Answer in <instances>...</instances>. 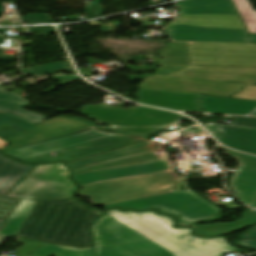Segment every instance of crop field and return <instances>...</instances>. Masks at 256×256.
<instances>
[{"instance_id":"obj_20","label":"crop field","mask_w":256,"mask_h":256,"mask_svg":"<svg viewBox=\"0 0 256 256\" xmlns=\"http://www.w3.org/2000/svg\"><path fill=\"white\" fill-rule=\"evenodd\" d=\"M256 224V211L247 209L242 215L241 220L231 224L220 223L208 226H197L196 234L214 236L216 234L228 235Z\"/></svg>"},{"instance_id":"obj_5","label":"crop field","mask_w":256,"mask_h":256,"mask_svg":"<svg viewBox=\"0 0 256 256\" xmlns=\"http://www.w3.org/2000/svg\"><path fill=\"white\" fill-rule=\"evenodd\" d=\"M67 165V164H66ZM72 179L79 185L170 169L156 146L143 142L134 146L68 163Z\"/></svg>"},{"instance_id":"obj_13","label":"crop field","mask_w":256,"mask_h":256,"mask_svg":"<svg viewBox=\"0 0 256 256\" xmlns=\"http://www.w3.org/2000/svg\"><path fill=\"white\" fill-rule=\"evenodd\" d=\"M0 87V137L6 138L38 124L47 117L24 110L30 102Z\"/></svg>"},{"instance_id":"obj_24","label":"crop field","mask_w":256,"mask_h":256,"mask_svg":"<svg viewBox=\"0 0 256 256\" xmlns=\"http://www.w3.org/2000/svg\"><path fill=\"white\" fill-rule=\"evenodd\" d=\"M249 33H256V11L252 9L248 0H233Z\"/></svg>"},{"instance_id":"obj_33","label":"crop field","mask_w":256,"mask_h":256,"mask_svg":"<svg viewBox=\"0 0 256 256\" xmlns=\"http://www.w3.org/2000/svg\"><path fill=\"white\" fill-rule=\"evenodd\" d=\"M256 238V226L249 229L247 232L243 233L240 236L241 240H245V239H254Z\"/></svg>"},{"instance_id":"obj_30","label":"crop field","mask_w":256,"mask_h":256,"mask_svg":"<svg viewBox=\"0 0 256 256\" xmlns=\"http://www.w3.org/2000/svg\"><path fill=\"white\" fill-rule=\"evenodd\" d=\"M102 1L103 0H94V4L92 5L91 9H87V13L91 14L90 19L104 15L105 10L100 5Z\"/></svg>"},{"instance_id":"obj_32","label":"crop field","mask_w":256,"mask_h":256,"mask_svg":"<svg viewBox=\"0 0 256 256\" xmlns=\"http://www.w3.org/2000/svg\"><path fill=\"white\" fill-rule=\"evenodd\" d=\"M36 33H38V36H50V33H55L53 27H41V28H31Z\"/></svg>"},{"instance_id":"obj_34","label":"crop field","mask_w":256,"mask_h":256,"mask_svg":"<svg viewBox=\"0 0 256 256\" xmlns=\"http://www.w3.org/2000/svg\"><path fill=\"white\" fill-rule=\"evenodd\" d=\"M239 245L256 249V240L239 241Z\"/></svg>"},{"instance_id":"obj_6","label":"crop field","mask_w":256,"mask_h":256,"mask_svg":"<svg viewBox=\"0 0 256 256\" xmlns=\"http://www.w3.org/2000/svg\"><path fill=\"white\" fill-rule=\"evenodd\" d=\"M161 64L256 66V44L171 41Z\"/></svg>"},{"instance_id":"obj_35","label":"crop field","mask_w":256,"mask_h":256,"mask_svg":"<svg viewBox=\"0 0 256 256\" xmlns=\"http://www.w3.org/2000/svg\"><path fill=\"white\" fill-rule=\"evenodd\" d=\"M0 40H5V38L0 37ZM13 59H18V58L0 56V60H13Z\"/></svg>"},{"instance_id":"obj_22","label":"crop field","mask_w":256,"mask_h":256,"mask_svg":"<svg viewBox=\"0 0 256 256\" xmlns=\"http://www.w3.org/2000/svg\"><path fill=\"white\" fill-rule=\"evenodd\" d=\"M36 201L22 200L14 215L1 233L4 236H15L22 223L31 212ZM26 221V220H25ZM24 224V223H23ZM17 235V234H16Z\"/></svg>"},{"instance_id":"obj_17","label":"crop field","mask_w":256,"mask_h":256,"mask_svg":"<svg viewBox=\"0 0 256 256\" xmlns=\"http://www.w3.org/2000/svg\"><path fill=\"white\" fill-rule=\"evenodd\" d=\"M199 95L139 89L137 102L174 110L201 112L196 100Z\"/></svg>"},{"instance_id":"obj_16","label":"crop field","mask_w":256,"mask_h":256,"mask_svg":"<svg viewBox=\"0 0 256 256\" xmlns=\"http://www.w3.org/2000/svg\"><path fill=\"white\" fill-rule=\"evenodd\" d=\"M223 129L220 142L256 154V118L234 117L230 126L223 125Z\"/></svg>"},{"instance_id":"obj_19","label":"crop field","mask_w":256,"mask_h":256,"mask_svg":"<svg viewBox=\"0 0 256 256\" xmlns=\"http://www.w3.org/2000/svg\"><path fill=\"white\" fill-rule=\"evenodd\" d=\"M32 167L21 165L0 154V196H5Z\"/></svg>"},{"instance_id":"obj_1","label":"crop field","mask_w":256,"mask_h":256,"mask_svg":"<svg viewBox=\"0 0 256 256\" xmlns=\"http://www.w3.org/2000/svg\"><path fill=\"white\" fill-rule=\"evenodd\" d=\"M103 213L76 199L37 201L15 237L50 244L88 248L93 246L89 227Z\"/></svg>"},{"instance_id":"obj_25","label":"crop field","mask_w":256,"mask_h":256,"mask_svg":"<svg viewBox=\"0 0 256 256\" xmlns=\"http://www.w3.org/2000/svg\"><path fill=\"white\" fill-rule=\"evenodd\" d=\"M62 70L75 73L74 69L72 68V64L70 63L69 60L53 63L49 65H44V66L22 69V71L27 74H40V75H45V74L62 71Z\"/></svg>"},{"instance_id":"obj_36","label":"crop field","mask_w":256,"mask_h":256,"mask_svg":"<svg viewBox=\"0 0 256 256\" xmlns=\"http://www.w3.org/2000/svg\"><path fill=\"white\" fill-rule=\"evenodd\" d=\"M252 43H256V34H250Z\"/></svg>"},{"instance_id":"obj_37","label":"crop field","mask_w":256,"mask_h":256,"mask_svg":"<svg viewBox=\"0 0 256 256\" xmlns=\"http://www.w3.org/2000/svg\"><path fill=\"white\" fill-rule=\"evenodd\" d=\"M7 142L0 139V149L6 146Z\"/></svg>"},{"instance_id":"obj_39","label":"crop field","mask_w":256,"mask_h":256,"mask_svg":"<svg viewBox=\"0 0 256 256\" xmlns=\"http://www.w3.org/2000/svg\"><path fill=\"white\" fill-rule=\"evenodd\" d=\"M6 238L5 237H0V248L3 245V243L5 242Z\"/></svg>"},{"instance_id":"obj_18","label":"crop field","mask_w":256,"mask_h":256,"mask_svg":"<svg viewBox=\"0 0 256 256\" xmlns=\"http://www.w3.org/2000/svg\"><path fill=\"white\" fill-rule=\"evenodd\" d=\"M205 112L248 115L256 109V101L206 96L200 100Z\"/></svg>"},{"instance_id":"obj_29","label":"crop field","mask_w":256,"mask_h":256,"mask_svg":"<svg viewBox=\"0 0 256 256\" xmlns=\"http://www.w3.org/2000/svg\"><path fill=\"white\" fill-rule=\"evenodd\" d=\"M233 98L256 100V86H248Z\"/></svg>"},{"instance_id":"obj_14","label":"crop field","mask_w":256,"mask_h":256,"mask_svg":"<svg viewBox=\"0 0 256 256\" xmlns=\"http://www.w3.org/2000/svg\"><path fill=\"white\" fill-rule=\"evenodd\" d=\"M95 127V123L80 118H66L63 116L42 122L28 130H25L11 138L6 139L13 145L2 150H9L80 130Z\"/></svg>"},{"instance_id":"obj_27","label":"crop field","mask_w":256,"mask_h":256,"mask_svg":"<svg viewBox=\"0 0 256 256\" xmlns=\"http://www.w3.org/2000/svg\"><path fill=\"white\" fill-rule=\"evenodd\" d=\"M17 242L24 245L17 249L18 254L16 256H27L46 244L37 241L29 242L23 240H17Z\"/></svg>"},{"instance_id":"obj_11","label":"crop field","mask_w":256,"mask_h":256,"mask_svg":"<svg viewBox=\"0 0 256 256\" xmlns=\"http://www.w3.org/2000/svg\"><path fill=\"white\" fill-rule=\"evenodd\" d=\"M81 113L103 123L148 135L163 128L177 126L181 115L143 106L121 109L104 108L102 105H87Z\"/></svg>"},{"instance_id":"obj_12","label":"crop field","mask_w":256,"mask_h":256,"mask_svg":"<svg viewBox=\"0 0 256 256\" xmlns=\"http://www.w3.org/2000/svg\"><path fill=\"white\" fill-rule=\"evenodd\" d=\"M70 171L62 164L37 166L6 197L29 200H61L71 198L78 190L68 179Z\"/></svg>"},{"instance_id":"obj_7","label":"crop field","mask_w":256,"mask_h":256,"mask_svg":"<svg viewBox=\"0 0 256 256\" xmlns=\"http://www.w3.org/2000/svg\"><path fill=\"white\" fill-rule=\"evenodd\" d=\"M77 195L93 199L91 204H112L176 192L179 179L171 170L124 179L82 185Z\"/></svg>"},{"instance_id":"obj_4","label":"crop field","mask_w":256,"mask_h":256,"mask_svg":"<svg viewBox=\"0 0 256 256\" xmlns=\"http://www.w3.org/2000/svg\"><path fill=\"white\" fill-rule=\"evenodd\" d=\"M118 132H115V131ZM150 137L121 129H91L67 137L6 152L24 162H67L120 148Z\"/></svg>"},{"instance_id":"obj_40","label":"crop field","mask_w":256,"mask_h":256,"mask_svg":"<svg viewBox=\"0 0 256 256\" xmlns=\"http://www.w3.org/2000/svg\"><path fill=\"white\" fill-rule=\"evenodd\" d=\"M253 115H256V112Z\"/></svg>"},{"instance_id":"obj_3","label":"crop field","mask_w":256,"mask_h":256,"mask_svg":"<svg viewBox=\"0 0 256 256\" xmlns=\"http://www.w3.org/2000/svg\"><path fill=\"white\" fill-rule=\"evenodd\" d=\"M247 84H256V67L160 65L139 88L230 97Z\"/></svg>"},{"instance_id":"obj_31","label":"crop field","mask_w":256,"mask_h":256,"mask_svg":"<svg viewBox=\"0 0 256 256\" xmlns=\"http://www.w3.org/2000/svg\"><path fill=\"white\" fill-rule=\"evenodd\" d=\"M22 19H23V21L26 20V22H25L26 24L50 22L49 17H48L47 14L26 15ZM32 20H35L36 22H32Z\"/></svg>"},{"instance_id":"obj_8","label":"crop field","mask_w":256,"mask_h":256,"mask_svg":"<svg viewBox=\"0 0 256 256\" xmlns=\"http://www.w3.org/2000/svg\"><path fill=\"white\" fill-rule=\"evenodd\" d=\"M92 229L96 256H174L107 214Z\"/></svg>"},{"instance_id":"obj_38","label":"crop field","mask_w":256,"mask_h":256,"mask_svg":"<svg viewBox=\"0 0 256 256\" xmlns=\"http://www.w3.org/2000/svg\"><path fill=\"white\" fill-rule=\"evenodd\" d=\"M90 26H96V25H101V23L94 21L89 23Z\"/></svg>"},{"instance_id":"obj_26","label":"crop field","mask_w":256,"mask_h":256,"mask_svg":"<svg viewBox=\"0 0 256 256\" xmlns=\"http://www.w3.org/2000/svg\"><path fill=\"white\" fill-rule=\"evenodd\" d=\"M20 202L19 199L0 198V233Z\"/></svg>"},{"instance_id":"obj_21","label":"crop field","mask_w":256,"mask_h":256,"mask_svg":"<svg viewBox=\"0 0 256 256\" xmlns=\"http://www.w3.org/2000/svg\"><path fill=\"white\" fill-rule=\"evenodd\" d=\"M196 256H223V254L228 252L241 251L232 247L226 239L223 237L216 238H196Z\"/></svg>"},{"instance_id":"obj_41","label":"crop field","mask_w":256,"mask_h":256,"mask_svg":"<svg viewBox=\"0 0 256 256\" xmlns=\"http://www.w3.org/2000/svg\"><path fill=\"white\" fill-rule=\"evenodd\" d=\"M254 208H256V205H255V207Z\"/></svg>"},{"instance_id":"obj_2","label":"crop field","mask_w":256,"mask_h":256,"mask_svg":"<svg viewBox=\"0 0 256 256\" xmlns=\"http://www.w3.org/2000/svg\"><path fill=\"white\" fill-rule=\"evenodd\" d=\"M177 6L179 21L162 28L171 40L248 43L246 29L230 0H188Z\"/></svg>"},{"instance_id":"obj_23","label":"crop field","mask_w":256,"mask_h":256,"mask_svg":"<svg viewBox=\"0 0 256 256\" xmlns=\"http://www.w3.org/2000/svg\"><path fill=\"white\" fill-rule=\"evenodd\" d=\"M29 256H94L93 247L74 249L47 244Z\"/></svg>"},{"instance_id":"obj_28","label":"crop field","mask_w":256,"mask_h":256,"mask_svg":"<svg viewBox=\"0 0 256 256\" xmlns=\"http://www.w3.org/2000/svg\"><path fill=\"white\" fill-rule=\"evenodd\" d=\"M52 79H54L59 84H57V85H55V86H53V87H51L47 90L40 91L41 93H43V94L49 93V92H52V91L56 90L57 87L65 84V83L76 82V81L80 80V78L76 77V76H60V77H52Z\"/></svg>"},{"instance_id":"obj_15","label":"crop field","mask_w":256,"mask_h":256,"mask_svg":"<svg viewBox=\"0 0 256 256\" xmlns=\"http://www.w3.org/2000/svg\"><path fill=\"white\" fill-rule=\"evenodd\" d=\"M226 151V155L238 158L240 167L231 179V187L237 196L252 207L256 203V157L237 153L223 147H218Z\"/></svg>"},{"instance_id":"obj_9","label":"crop field","mask_w":256,"mask_h":256,"mask_svg":"<svg viewBox=\"0 0 256 256\" xmlns=\"http://www.w3.org/2000/svg\"><path fill=\"white\" fill-rule=\"evenodd\" d=\"M105 207L107 209L121 207L122 210L159 208L161 213L177 217L179 225L187 226H194L197 222H207L213 220V216L221 215L220 208L191 190L112 204Z\"/></svg>"},{"instance_id":"obj_10","label":"crop field","mask_w":256,"mask_h":256,"mask_svg":"<svg viewBox=\"0 0 256 256\" xmlns=\"http://www.w3.org/2000/svg\"><path fill=\"white\" fill-rule=\"evenodd\" d=\"M105 213L155 241L176 256H195L192 229L172 228L173 221L168 216H157L154 212L133 213L119 210Z\"/></svg>"}]
</instances>
